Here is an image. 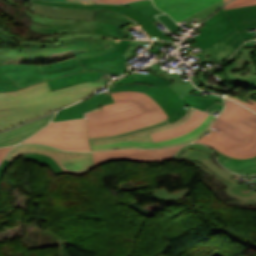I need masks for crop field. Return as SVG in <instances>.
I'll return each mask as SVG.
<instances>
[{
    "instance_id": "1",
    "label": "crop field",
    "mask_w": 256,
    "mask_h": 256,
    "mask_svg": "<svg viewBox=\"0 0 256 256\" xmlns=\"http://www.w3.org/2000/svg\"><path fill=\"white\" fill-rule=\"evenodd\" d=\"M111 95L114 104L85 114L89 137L122 133L168 118L158 104L144 93L122 91Z\"/></svg>"
},
{
    "instance_id": "2",
    "label": "crop field",
    "mask_w": 256,
    "mask_h": 256,
    "mask_svg": "<svg viewBox=\"0 0 256 256\" xmlns=\"http://www.w3.org/2000/svg\"><path fill=\"white\" fill-rule=\"evenodd\" d=\"M225 101L224 112L195 142L232 157L256 156V114L232 101Z\"/></svg>"
},
{
    "instance_id": "3",
    "label": "crop field",
    "mask_w": 256,
    "mask_h": 256,
    "mask_svg": "<svg viewBox=\"0 0 256 256\" xmlns=\"http://www.w3.org/2000/svg\"><path fill=\"white\" fill-rule=\"evenodd\" d=\"M102 85L103 83L86 82L65 87L0 111V131L72 104Z\"/></svg>"
},
{
    "instance_id": "4",
    "label": "crop field",
    "mask_w": 256,
    "mask_h": 256,
    "mask_svg": "<svg viewBox=\"0 0 256 256\" xmlns=\"http://www.w3.org/2000/svg\"><path fill=\"white\" fill-rule=\"evenodd\" d=\"M32 18L30 28L40 33L63 34L71 32H98L110 35L112 38L126 37L119 28L135 22L133 19L116 13L114 11L96 8L93 21L67 20L42 16L36 13L31 14L13 0H6Z\"/></svg>"
},
{
    "instance_id": "5",
    "label": "crop field",
    "mask_w": 256,
    "mask_h": 256,
    "mask_svg": "<svg viewBox=\"0 0 256 256\" xmlns=\"http://www.w3.org/2000/svg\"><path fill=\"white\" fill-rule=\"evenodd\" d=\"M194 111H195V108L191 107L190 110L188 111V113L186 115H184L182 118H180L179 120L175 121L172 124H169V125L157 128V129H153L150 131L133 134V135H129V136L109 139V140L90 142L91 149H92V151H95V150H102V149H109V148H124V147L162 148V147H166V146L191 142L203 134V132L215 120V117L210 115L203 121V123L199 127H197L194 131H192L186 135L172 138V139L165 140V141H161V142H157V143L154 142L150 133L167 130V129H171L173 127L179 126V125L183 124L185 121H187L190 118V116L193 114Z\"/></svg>"
},
{
    "instance_id": "6",
    "label": "crop field",
    "mask_w": 256,
    "mask_h": 256,
    "mask_svg": "<svg viewBox=\"0 0 256 256\" xmlns=\"http://www.w3.org/2000/svg\"><path fill=\"white\" fill-rule=\"evenodd\" d=\"M23 143L48 144L63 150L91 151L85 119L50 123Z\"/></svg>"
},
{
    "instance_id": "7",
    "label": "crop field",
    "mask_w": 256,
    "mask_h": 256,
    "mask_svg": "<svg viewBox=\"0 0 256 256\" xmlns=\"http://www.w3.org/2000/svg\"><path fill=\"white\" fill-rule=\"evenodd\" d=\"M120 41L104 39L72 38L62 44L45 48H27L23 60L33 62L36 57L42 58L54 53L71 50L77 59L109 52L117 48Z\"/></svg>"
},
{
    "instance_id": "8",
    "label": "crop field",
    "mask_w": 256,
    "mask_h": 256,
    "mask_svg": "<svg viewBox=\"0 0 256 256\" xmlns=\"http://www.w3.org/2000/svg\"><path fill=\"white\" fill-rule=\"evenodd\" d=\"M36 152L51 156L60 167L70 174L81 175L94 168L92 153L70 152L47 147L44 145H16L7 155V160H13L23 153Z\"/></svg>"
},
{
    "instance_id": "9",
    "label": "crop field",
    "mask_w": 256,
    "mask_h": 256,
    "mask_svg": "<svg viewBox=\"0 0 256 256\" xmlns=\"http://www.w3.org/2000/svg\"><path fill=\"white\" fill-rule=\"evenodd\" d=\"M183 145L174 146L169 148L155 149V150H140V149H126V150H113L102 151L93 153L95 166L119 159H129L142 162L161 161L171 158L176 151Z\"/></svg>"
},
{
    "instance_id": "10",
    "label": "crop field",
    "mask_w": 256,
    "mask_h": 256,
    "mask_svg": "<svg viewBox=\"0 0 256 256\" xmlns=\"http://www.w3.org/2000/svg\"><path fill=\"white\" fill-rule=\"evenodd\" d=\"M204 24L200 29L203 32L192 38L202 50L219 42L235 31V27L226 16L224 9H221L210 17Z\"/></svg>"
},
{
    "instance_id": "11",
    "label": "crop field",
    "mask_w": 256,
    "mask_h": 256,
    "mask_svg": "<svg viewBox=\"0 0 256 256\" xmlns=\"http://www.w3.org/2000/svg\"><path fill=\"white\" fill-rule=\"evenodd\" d=\"M256 45V41L245 43L232 57L220 63L222 66L234 61V65L226 69V76L231 78H256V65L252 52L256 48L248 49V46Z\"/></svg>"
},
{
    "instance_id": "12",
    "label": "crop field",
    "mask_w": 256,
    "mask_h": 256,
    "mask_svg": "<svg viewBox=\"0 0 256 256\" xmlns=\"http://www.w3.org/2000/svg\"><path fill=\"white\" fill-rule=\"evenodd\" d=\"M220 0H153L155 7L166 12L176 22Z\"/></svg>"
},
{
    "instance_id": "13",
    "label": "crop field",
    "mask_w": 256,
    "mask_h": 256,
    "mask_svg": "<svg viewBox=\"0 0 256 256\" xmlns=\"http://www.w3.org/2000/svg\"><path fill=\"white\" fill-rule=\"evenodd\" d=\"M255 32L249 33L248 30L241 32H234L219 43L205 49L204 51H200L195 54L196 57L200 56L203 60L199 62H205V60L215 59L218 62L225 60L228 56L235 52L236 49L239 48V45H242L243 41L247 39H252L255 36ZM207 54L212 55L207 59L204 58ZM202 64V63H201Z\"/></svg>"
},
{
    "instance_id": "14",
    "label": "crop field",
    "mask_w": 256,
    "mask_h": 256,
    "mask_svg": "<svg viewBox=\"0 0 256 256\" xmlns=\"http://www.w3.org/2000/svg\"><path fill=\"white\" fill-rule=\"evenodd\" d=\"M0 67L21 88L45 80L38 65L5 64Z\"/></svg>"
},
{
    "instance_id": "15",
    "label": "crop field",
    "mask_w": 256,
    "mask_h": 256,
    "mask_svg": "<svg viewBox=\"0 0 256 256\" xmlns=\"http://www.w3.org/2000/svg\"><path fill=\"white\" fill-rule=\"evenodd\" d=\"M54 114L31 122L19 128L11 129L6 132L0 133V146L15 145L23 139L33 135L41 128L46 126L50 122Z\"/></svg>"
},
{
    "instance_id": "16",
    "label": "crop field",
    "mask_w": 256,
    "mask_h": 256,
    "mask_svg": "<svg viewBox=\"0 0 256 256\" xmlns=\"http://www.w3.org/2000/svg\"><path fill=\"white\" fill-rule=\"evenodd\" d=\"M113 102L114 101L110 93L108 95L101 93L87 100H84L73 107L59 111L52 121L72 119V118H82L84 117L83 113L91 109H94L98 106H102L104 104H110Z\"/></svg>"
},
{
    "instance_id": "17",
    "label": "crop field",
    "mask_w": 256,
    "mask_h": 256,
    "mask_svg": "<svg viewBox=\"0 0 256 256\" xmlns=\"http://www.w3.org/2000/svg\"><path fill=\"white\" fill-rule=\"evenodd\" d=\"M144 93L148 94L153 100H155L168 114V116H171L185 105L182 98L168 86L162 89L151 86Z\"/></svg>"
},
{
    "instance_id": "18",
    "label": "crop field",
    "mask_w": 256,
    "mask_h": 256,
    "mask_svg": "<svg viewBox=\"0 0 256 256\" xmlns=\"http://www.w3.org/2000/svg\"><path fill=\"white\" fill-rule=\"evenodd\" d=\"M50 91L47 82L26 87L22 90L0 93V110L11 107L40 94Z\"/></svg>"
},
{
    "instance_id": "19",
    "label": "crop field",
    "mask_w": 256,
    "mask_h": 256,
    "mask_svg": "<svg viewBox=\"0 0 256 256\" xmlns=\"http://www.w3.org/2000/svg\"><path fill=\"white\" fill-rule=\"evenodd\" d=\"M148 42L150 41H132L128 50L122 56L114 60L97 63V64L85 65L83 67L85 70L107 71V72L122 74L126 70H128L127 63L125 61L131 59L134 56L131 53L134 50H136L138 46L144 48V46Z\"/></svg>"
},
{
    "instance_id": "20",
    "label": "crop field",
    "mask_w": 256,
    "mask_h": 256,
    "mask_svg": "<svg viewBox=\"0 0 256 256\" xmlns=\"http://www.w3.org/2000/svg\"><path fill=\"white\" fill-rule=\"evenodd\" d=\"M95 6L103 9L114 10L116 12H120L127 16H130L135 21H137L149 33V35L153 39L170 40L162 34V32L156 27V25L147 16H145L143 13L135 9H132L123 5L95 4Z\"/></svg>"
},
{
    "instance_id": "21",
    "label": "crop field",
    "mask_w": 256,
    "mask_h": 256,
    "mask_svg": "<svg viewBox=\"0 0 256 256\" xmlns=\"http://www.w3.org/2000/svg\"><path fill=\"white\" fill-rule=\"evenodd\" d=\"M188 160L189 161H195V160L200 161L207 168H209L213 173H215L216 175H218L222 179L232 183L233 185L229 189H227L225 191V193H227L231 196H234L236 198H254V197H256V192L255 191L229 180L234 175V173L218 167L212 161L211 158L206 160V161H203V160L198 159V158H189Z\"/></svg>"
},
{
    "instance_id": "22",
    "label": "crop field",
    "mask_w": 256,
    "mask_h": 256,
    "mask_svg": "<svg viewBox=\"0 0 256 256\" xmlns=\"http://www.w3.org/2000/svg\"><path fill=\"white\" fill-rule=\"evenodd\" d=\"M33 4L36 6V8L33 9L32 11L42 15L59 17V18H68V19L92 20L93 18L94 10L72 9V8L39 4V3H33Z\"/></svg>"
},
{
    "instance_id": "23",
    "label": "crop field",
    "mask_w": 256,
    "mask_h": 256,
    "mask_svg": "<svg viewBox=\"0 0 256 256\" xmlns=\"http://www.w3.org/2000/svg\"><path fill=\"white\" fill-rule=\"evenodd\" d=\"M207 116H209V114L196 109V111L191 116V118L187 122H185L183 125L176 127L174 129H171V130L153 133L152 136H153L155 142H157V141H161V140H165V139H169L172 137L183 135V134L188 133L191 130L195 129L198 125H200L202 123V121ZM174 130H176V131H174Z\"/></svg>"
},
{
    "instance_id": "24",
    "label": "crop field",
    "mask_w": 256,
    "mask_h": 256,
    "mask_svg": "<svg viewBox=\"0 0 256 256\" xmlns=\"http://www.w3.org/2000/svg\"><path fill=\"white\" fill-rule=\"evenodd\" d=\"M50 43H28L17 39L0 28V51L22 56L26 47H45Z\"/></svg>"
},
{
    "instance_id": "25",
    "label": "crop field",
    "mask_w": 256,
    "mask_h": 256,
    "mask_svg": "<svg viewBox=\"0 0 256 256\" xmlns=\"http://www.w3.org/2000/svg\"><path fill=\"white\" fill-rule=\"evenodd\" d=\"M238 31L256 28V6L226 11Z\"/></svg>"
},
{
    "instance_id": "26",
    "label": "crop field",
    "mask_w": 256,
    "mask_h": 256,
    "mask_svg": "<svg viewBox=\"0 0 256 256\" xmlns=\"http://www.w3.org/2000/svg\"><path fill=\"white\" fill-rule=\"evenodd\" d=\"M39 66L46 80L84 70L76 58Z\"/></svg>"
},
{
    "instance_id": "27",
    "label": "crop field",
    "mask_w": 256,
    "mask_h": 256,
    "mask_svg": "<svg viewBox=\"0 0 256 256\" xmlns=\"http://www.w3.org/2000/svg\"><path fill=\"white\" fill-rule=\"evenodd\" d=\"M218 161L224 167L241 174H255L256 173V157L248 159H237L228 157L214 150Z\"/></svg>"
},
{
    "instance_id": "28",
    "label": "crop field",
    "mask_w": 256,
    "mask_h": 256,
    "mask_svg": "<svg viewBox=\"0 0 256 256\" xmlns=\"http://www.w3.org/2000/svg\"><path fill=\"white\" fill-rule=\"evenodd\" d=\"M104 73L98 72H83L70 76H66L63 78L55 79L52 81H48V84L51 90L62 88L65 86L85 82V81H96L99 77H101Z\"/></svg>"
},
{
    "instance_id": "29",
    "label": "crop field",
    "mask_w": 256,
    "mask_h": 256,
    "mask_svg": "<svg viewBox=\"0 0 256 256\" xmlns=\"http://www.w3.org/2000/svg\"><path fill=\"white\" fill-rule=\"evenodd\" d=\"M214 156L212 151L204 145L200 144H188L183 147L173 159H178L179 157L187 159L188 157H199L202 159H207Z\"/></svg>"
},
{
    "instance_id": "30",
    "label": "crop field",
    "mask_w": 256,
    "mask_h": 256,
    "mask_svg": "<svg viewBox=\"0 0 256 256\" xmlns=\"http://www.w3.org/2000/svg\"><path fill=\"white\" fill-rule=\"evenodd\" d=\"M160 65H157V64H154L152 66H149L148 68H151L153 70H156V71H160V72H163L173 78H175L177 81L174 82L173 84L171 85H168L170 88H172L177 94H179L181 97L196 90V88H194L192 86V84L190 83V81H187V82H183L181 83L179 76L177 73L173 72L171 74H169L168 72H165L163 70H161L160 68Z\"/></svg>"
},
{
    "instance_id": "31",
    "label": "crop field",
    "mask_w": 256,
    "mask_h": 256,
    "mask_svg": "<svg viewBox=\"0 0 256 256\" xmlns=\"http://www.w3.org/2000/svg\"><path fill=\"white\" fill-rule=\"evenodd\" d=\"M130 42L131 41H121L116 50H114L110 53H107V54L89 57V58H85V59H80L79 62L81 63V65H84V64H90V63L106 61L109 59H114V58L122 55L125 52V50L129 46Z\"/></svg>"
},
{
    "instance_id": "32",
    "label": "crop field",
    "mask_w": 256,
    "mask_h": 256,
    "mask_svg": "<svg viewBox=\"0 0 256 256\" xmlns=\"http://www.w3.org/2000/svg\"><path fill=\"white\" fill-rule=\"evenodd\" d=\"M153 196H156L161 201L166 203H172L175 200L182 199L185 195L190 193L189 188H185L183 190L176 191L174 193H169L166 188L162 189H154L149 192Z\"/></svg>"
},
{
    "instance_id": "33",
    "label": "crop field",
    "mask_w": 256,
    "mask_h": 256,
    "mask_svg": "<svg viewBox=\"0 0 256 256\" xmlns=\"http://www.w3.org/2000/svg\"><path fill=\"white\" fill-rule=\"evenodd\" d=\"M24 159H33L38 163L48 166L56 175L64 174L65 172L59 165L49 156L42 154L29 153L23 156Z\"/></svg>"
},
{
    "instance_id": "34",
    "label": "crop field",
    "mask_w": 256,
    "mask_h": 256,
    "mask_svg": "<svg viewBox=\"0 0 256 256\" xmlns=\"http://www.w3.org/2000/svg\"><path fill=\"white\" fill-rule=\"evenodd\" d=\"M183 100L185 104L195 108L202 109L203 111L207 109L210 105H212L214 102H216L215 100H211L205 97H200V96L191 95V94L183 97Z\"/></svg>"
},
{
    "instance_id": "35",
    "label": "crop field",
    "mask_w": 256,
    "mask_h": 256,
    "mask_svg": "<svg viewBox=\"0 0 256 256\" xmlns=\"http://www.w3.org/2000/svg\"><path fill=\"white\" fill-rule=\"evenodd\" d=\"M137 83L151 84L159 88H162L170 82L160 76L156 75H147V74H135Z\"/></svg>"
},
{
    "instance_id": "36",
    "label": "crop field",
    "mask_w": 256,
    "mask_h": 256,
    "mask_svg": "<svg viewBox=\"0 0 256 256\" xmlns=\"http://www.w3.org/2000/svg\"><path fill=\"white\" fill-rule=\"evenodd\" d=\"M85 37V38H105V39H111L107 36L100 35V34H92V33H76V34H66V35H59V36H53V37H47V40H52L54 42L59 40H65L72 37Z\"/></svg>"
},
{
    "instance_id": "37",
    "label": "crop field",
    "mask_w": 256,
    "mask_h": 256,
    "mask_svg": "<svg viewBox=\"0 0 256 256\" xmlns=\"http://www.w3.org/2000/svg\"><path fill=\"white\" fill-rule=\"evenodd\" d=\"M166 124H169V122L167 120H164V121L155 123L153 125H150V126H147V127H143V128H139V129H136V130H132V131H129V132H126V133H122V134H118V135H112V136H106V137H99V138H89V140L93 141V140H101V139H108V138L124 136V135H128V134H133V133H138V132L150 130V129H153V128H156V127H160V126H163V125H166Z\"/></svg>"
},
{
    "instance_id": "38",
    "label": "crop field",
    "mask_w": 256,
    "mask_h": 256,
    "mask_svg": "<svg viewBox=\"0 0 256 256\" xmlns=\"http://www.w3.org/2000/svg\"><path fill=\"white\" fill-rule=\"evenodd\" d=\"M191 163H193V164H196V165H198V166H200L202 169H204L208 174H210L212 177H215V182L214 183H216L217 185H218V187H220L221 189H222V191H225L228 187H230L231 186V184L230 183H228V182H226V181H224V180H222L221 178H219V177H217L216 175H214L210 170H208L203 164H201V163H199V162H191ZM205 187H207L208 188V186L207 185H204ZM209 189V188H208ZM210 190V189H209ZM211 191V190H210ZM217 190L215 189L212 193L214 194V192H216ZM222 191H219V192H222Z\"/></svg>"
},
{
    "instance_id": "39",
    "label": "crop field",
    "mask_w": 256,
    "mask_h": 256,
    "mask_svg": "<svg viewBox=\"0 0 256 256\" xmlns=\"http://www.w3.org/2000/svg\"><path fill=\"white\" fill-rule=\"evenodd\" d=\"M151 85H144V84H122V85H115L110 92L114 91H122V90H134L144 92L148 89Z\"/></svg>"
},
{
    "instance_id": "40",
    "label": "crop field",
    "mask_w": 256,
    "mask_h": 256,
    "mask_svg": "<svg viewBox=\"0 0 256 256\" xmlns=\"http://www.w3.org/2000/svg\"><path fill=\"white\" fill-rule=\"evenodd\" d=\"M193 79H194L195 83L198 86L202 87L203 89H206V90H209V91H212V92H216V93H219V94H224L227 91V89H223V88H220V87L215 86V85L209 86L206 83L204 77H193Z\"/></svg>"
},
{
    "instance_id": "41",
    "label": "crop field",
    "mask_w": 256,
    "mask_h": 256,
    "mask_svg": "<svg viewBox=\"0 0 256 256\" xmlns=\"http://www.w3.org/2000/svg\"><path fill=\"white\" fill-rule=\"evenodd\" d=\"M17 89L20 88L5 74L0 76V92L13 91Z\"/></svg>"
},
{
    "instance_id": "42",
    "label": "crop field",
    "mask_w": 256,
    "mask_h": 256,
    "mask_svg": "<svg viewBox=\"0 0 256 256\" xmlns=\"http://www.w3.org/2000/svg\"><path fill=\"white\" fill-rule=\"evenodd\" d=\"M220 6H222V1H220V2H218V3H216V4H214V5H212V6L208 7V8H206L205 10H203V11H201V12H199V13H197V14H195V15H193V16L187 18V19H185V21H189V20H191V19H193V18H195V17H197V18L203 20L204 18H206L208 15H210L213 11H215V10H216L217 8H219ZM213 13H214V12H213ZM204 20H205V19H204Z\"/></svg>"
},
{
    "instance_id": "43",
    "label": "crop field",
    "mask_w": 256,
    "mask_h": 256,
    "mask_svg": "<svg viewBox=\"0 0 256 256\" xmlns=\"http://www.w3.org/2000/svg\"><path fill=\"white\" fill-rule=\"evenodd\" d=\"M222 78L229 83L240 84L256 89V79H231L227 77Z\"/></svg>"
},
{
    "instance_id": "44",
    "label": "crop field",
    "mask_w": 256,
    "mask_h": 256,
    "mask_svg": "<svg viewBox=\"0 0 256 256\" xmlns=\"http://www.w3.org/2000/svg\"><path fill=\"white\" fill-rule=\"evenodd\" d=\"M157 18L172 32L181 28L166 14L157 16Z\"/></svg>"
},
{
    "instance_id": "45",
    "label": "crop field",
    "mask_w": 256,
    "mask_h": 256,
    "mask_svg": "<svg viewBox=\"0 0 256 256\" xmlns=\"http://www.w3.org/2000/svg\"><path fill=\"white\" fill-rule=\"evenodd\" d=\"M256 5V0H235L224 7V9Z\"/></svg>"
},
{
    "instance_id": "46",
    "label": "crop field",
    "mask_w": 256,
    "mask_h": 256,
    "mask_svg": "<svg viewBox=\"0 0 256 256\" xmlns=\"http://www.w3.org/2000/svg\"><path fill=\"white\" fill-rule=\"evenodd\" d=\"M21 59L22 57L13 56L10 54L0 52V65L5 63H20Z\"/></svg>"
},
{
    "instance_id": "47",
    "label": "crop field",
    "mask_w": 256,
    "mask_h": 256,
    "mask_svg": "<svg viewBox=\"0 0 256 256\" xmlns=\"http://www.w3.org/2000/svg\"><path fill=\"white\" fill-rule=\"evenodd\" d=\"M138 10L146 14L152 21L157 20L154 15L162 13L161 11L157 10L154 6L141 8Z\"/></svg>"
},
{
    "instance_id": "48",
    "label": "crop field",
    "mask_w": 256,
    "mask_h": 256,
    "mask_svg": "<svg viewBox=\"0 0 256 256\" xmlns=\"http://www.w3.org/2000/svg\"><path fill=\"white\" fill-rule=\"evenodd\" d=\"M124 5L130 6L132 8H140V7L151 6L153 4L151 0H144V1H138V2L128 3Z\"/></svg>"
},
{
    "instance_id": "49",
    "label": "crop field",
    "mask_w": 256,
    "mask_h": 256,
    "mask_svg": "<svg viewBox=\"0 0 256 256\" xmlns=\"http://www.w3.org/2000/svg\"><path fill=\"white\" fill-rule=\"evenodd\" d=\"M234 100H237L239 102H241L242 104L246 105L247 107H249L250 109L256 111V101H253L251 99H248L246 102L241 100V99H238V98H235V97H231V96H228Z\"/></svg>"
},
{
    "instance_id": "50",
    "label": "crop field",
    "mask_w": 256,
    "mask_h": 256,
    "mask_svg": "<svg viewBox=\"0 0 256 256\" xmlns=\"http://www.w3.org/2000/svg\"><path fill=\"white\" fill-rule=\"evenodd\" d=\"M121 83H136L134 75L132 74L128 77H125L123 79H120V80L114 82V84H121Z\"/></svg>"
},
{
    "instance_id": "51",
    "label": "crop field",
    "mask_w": 256,
    "mask_h": 256,
    "mask_svg": "<svg viewBox=\"0 0 256 256\" xmlns=\"http://www.w3.org/2000/svg\"><path fill=\"white\" fill-rule=\"evenodd\" d=\"M11 147H5V148H0V162L3 160V158L6 156V154L8 153V151L12 148Z\"/></svg>"
},
{
    "instance_id": "52",
    "label": "crop field",
    "mask_w": 256,
    "mask_h": 256,
    "mask_svg": "<svg viewBox=\"0 0 256 256\" xmlns=\"http://www.w3.org/2000/svg\"><path fill=\"white\" fill-rule=\"evenodd\" d=\"M136 0H96V2H108V3H125V2H131Z\"/></svg>"
},
{
    "instance_id": "53",
    "label": "crop field",
    "mask_w": 256,
    "mask_h": 256,
    "mask_svg": "<svg viewBox=\"0 0 256 256\" xmlns=\"http://www.w3.org/2000/svg\"><path fill=\"white\" fill-rule=\"evenodd\" d=\"M199 93H201V92L198 91V90L192 92V94H197V95H200ZM205 97L212 98V99H216V100H218V102L224 104L223 99L220 98V97H216V96H213V95H210V94H209V95H205Z\"/></svg>"
},
{
    "instance_id": "54",
    "label": "crop field",
    "mask_w": 256,
    "mask_h": 256,
    "mask_svg": "<svg viewBox=\"0 0 256 256\" xmlns=\"http://www.w3.org/2000/svg\"><path fill=\"white\" fill-rule=\"evenodd\" d=\"M3 162V161H2ZM11 162L10 161H6L4 160V162L1 164L0 166V179L5 171V169L8 167V165L10 164Z\"/></svg>"
},
{
    "instance_id": "55",
    "label": "crop field",
    "mask_w": 256,
    "mask_h": 256,
    "mask_svg": "<svg viewBox=\"0 0 256 256\" xmlns=\"http://www.w3.org/2000/svg\"><path fill=\"white\" fill-rule=\"evenodd\" d=\"M69 1H90V0H69Z\"/></svg>"
},
{
    "instance_id": "56",
    "label": "crop field",
    "mask_w": 256,
    "mask_h": 256,
    "mask_svg": "<svg viewBox=\"0 0 256 256\" xmlns=\"http://www.w3.org/2000/svg\"><path fill=\"white\" fill-rule=\"evenodd\" d=\"M256 62V52L252 53Z\"/></svg>"
},
{
    "instance_id": "57",
    "label": "crop field",
    "mask_w": 256,
    "mask_h": 256,
    "mask_svg": "<svg viewBox=\"0 0 256 256\" xmlns=\"http://www.w3.org/2000/svg\"><path fill=\"white\" fill-rule=\"evenodd\" d=\"M227 1H229V0H223V4H225Z\"/></svg>"
},
{
    "instance_id": "58",
    "label": "crop field",
    "mask_w": 256,
    "mask_h": 256,
    "mask_svg": "<svg viewBox=\"0 0 256 256\" xmlns=\"http://www.w3.org/2000/svg\"><path fill=\"white\" fill-rule=\"evenodd\" d=\"M131 71H134V70H133V69H131V70L127 71L126 73H129V72H131ZM126 73H125V74H126Z\"/></svg>"
},
{
    "instance_id": "59",
    "label": "crop field",
    "mask_w": 256,
    "mask_h": 256,
    "mask_svg": "<svg viewBox=\"0 0 256 256\" xmlns=\"http://www.w3.org/2000/svg\"><path fill=\"white\" fill-rule=\"evenodd\" d=\"M54 1H62V2H65V0H54Z\"/></svg>"
},
{
    "instance_id": "60",
    "label": "crop field",
    "mask_w": 256,
    "mask_h": 256,
    "mask_svg": "<svg viewBox=\"0 0 256 256\" xmlns=\"http://www.w3.org/2000/svg\"><path fill=\"white\" fill-rule=\"evenodd\" d=\"M3 74L2 70L0 69V75Z\"/></svg>"
}]
</instances>
